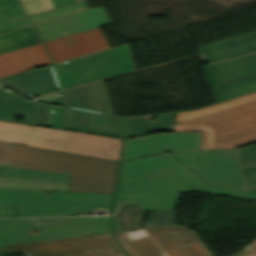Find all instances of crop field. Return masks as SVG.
<instances>
[{"label": "crop field", "instance_id": "obj_7", "mask_svg": "<svg viewBox=\"0 0 256 256\" xmlns=\"http://www.w3.org/2000/svg\"><path fill=\"white\" fill-rule=\"evenodd\" d=\"M64 61L50 65L59 90L134 70L127 45Z\"/></svg>", "mask_w": 256, "mask_h": 256}, {"label": "crop field", "instance_id": "obj_19", "mask_svg": "<svg viewBox=\"0 0 256 256\" xmlns=\"http://www.w3.org/2000/svg\"><path fill=\"white\" fill-rule=\"evenodd\" d=\"M206 63L256 51V32L198 47ZM218 53V54H215ZM219 56H221L219 58Z\"/></svg>", "mask_w": 256, "mask_h": 256}, {"label": "crop field", "instance_id": "obj_25", "mask_svg": "<svg viewBox=\"0 0 256 256\" xmlns=\"http://www.w3.org/2000/svg\"><path fill=\"white\" fill-rule=\"evenodd\" d=\"M256 100V93L240 96L197 110L176 112L175 124Z\"/></svg>", "mask_w": 256, "mask_h": 256}, {"label": "crop field", "instance_id": "obj_35", "mask_svg": "<svg viewBox=\"0 0 256 256\" xmlns=\"http://www.w3.org/2000/svg\"><path fill=\"white\" fill-rule=\"evenodd\" d=\"M76 1H79V0H52L55 7L65 5V4H69V3H73V2H76Z\"/></svg>", "mask_w": 256, "mask_h": 256}, {"label": "crop field", "instance_id": "obj_9", "mask_svg": "<svg viewBox=\"0 0 256 256\" xmlns=\"http://www.w3.org/2000/svg\"><path fill=\"white\" fill-rule=\"evenodd\" d=\"M9 250L30 256H124L109 233L0 246Z\"/></svg>", "mask_w": 256, "mask_h": 256}, {"label": "crop field", "instance_id": "obj_32", "mask_svg": "<svg viewBox=\"0 0 256 256\" xmlns=\"http://www.w3.org/2000/svg\"><path fill=\"white\" fill-rule=\"evenodd\" d=\"M16 216L14 208H0V217Z\"/></svg>", "mask_w": 256, "mask_h": 256}, {"label": "crop field", "instance_id": "obj_2", "mask_svg": "<svg viewBox=\"0 0 256 256\" xmlns=\"http://www.w3.org/2000/svg\"><path fill=\"white\" fill-rule=\"evenodd\" d=\"M118 162L0 142V165L70 173L68 191L113 193Z\"/></svg>", "mask_w": 256, "mask_h": 256}, {"label": "crop field", "instance_id": "obj_3", "mask_svg": "<svg viewBox=\"0 0 256 256\" xmlns=\"http://www.w3.org/2000/svg\"><path fill=\"white\" fill-rule=\"evenodd\" d=\"M0 141L117 161L121 139L0 121Z\"/></svg>", "mask_w": 256, "mask_h": 256}, {"label": "crop field", "instance_id": "obj_34", "mask_svg": "<svg viewBox=\"0 0 256 256\" xmlns=\"http://www.w3.org/2000/svg\"><path fill=\"white\" fill-rule=\"evenodd\" d=\"M127 232L131 236V238L147 235V233L144 231V229L130 230V231H127Z\"/></svg>", "mask_w": 256, "mask_h": 256}, {"label": "crop field", "instance_id": "obj_28", "mask_svg": "<svg viewBox=\"0 0 256 256\" xmlns=\"http://www.w3.org/2000/svg\"><path fill=\"white\" fill-rule=\"evenodd\" d=\"M177 211H160L148 213L144 228L175 225Z\"/></svg>", "mask_w": 256, "mask_h": 256}, {"label": "crop field", "instance_id": "obj_38", "mask_svg": "<svg viewBox=\"0 0 256 256\" xmlns=\"http://www.w3.org/2000/svg\"><path fill=\"white\" fill-rule=\"evenodd\" d=\"M33 229V228H31ZM28 234H29V237L31 238L32 242L36 240V238L38 237L39 235V230L36 234H30L29 231H28Z\"/></svg>", "mask_w": 256, "mask_h": 256}, {"label": "crop field", "instance_id": "obj_18", "mask_svg": "<svg viewBox=\"0 0 256 256\" xmlns=\"http://www.w3.org/2000/svg\"><path fill=\"white\" fill-rule=\"evenodd\" d=\"M44 50L39 43L0 54V77L51 63Z\"/></svg>", "mask_w": 256, "mask_h": 256}, {"label": "crop field", "instance_id": "obj_13", "mask_svg": "<svg viewBox=\"0 0 256 256\" xmlns=\"http://www.w3.org/2000/svg\"><path fill=\"white\" fill-rule=\"evenodd\" d=\"M15 114L24 115V123L50 127V105L27 100L0 87V119L13 121Z\"/></svg>", "mask_w": 256, "mask_h": 256}, {"label": "crop field", "instance_id": "obj_31", "mask_svg": "<svg viewBox=\"0 0 256 256\" xmlns=\"http://www.w3.org/2000/svg\"><path fill=\"white\" fill-rule=\"evenodd\" d=\"M36 99L38 100H43V101H49V102H53L56 105H61L58 93H53L50 95H46V96H41V97H37Z\"/></svg>", "mask_w": 256, "mask_h": 256}, {"label": "crop field", "instance_id": "obj_11", "mask_svg": "<svg viewBox=\"0 0 256 256\" xmlns=\"http://www.w3.org/2000/svg\"><path fill=\"white\" fill-rule=\"evenodd\" d=\"M199 132H170L125 139L122 159L163 151L198 150Z\"/></svg>", "mask_w": 256, "mask_h": 256}, {"label": "crop field", "instance_id": "obj_22", "mask_svg": "<svg viewBox=\"0 0 256 256\" xmlns=\"http://www.w3.org/2000/svg\"><path fill=\"white\" fill-rule=\"evenodd\" d=\"M216 102L256 92V73L211 84Z\"/></svg>", "mask_w": 256, "mask_h": 256}, {"label": "crop field", "instance_id": "obj_8", "mask_svg": "<svg viewBox=\"0 0 256 256\" xmlns=\"http://www.w3.org/2000/svg\"><path fill=\"white\" fill-rule=\"evenodd\" d=\"M137 121V117L123 118L111 114L65 107V129L108 135L136 137L155 131H172L174 113L158 115L156 121ZM156 128V130H153Z\"/></svg>", "mask_w": 256, "mask_h": 256}, {"label": "crop field", "instance_id": "obj_29", "mask_svg": "<svg viewBox=\"0 0 256 256\" xmlns=\"http://www.w3.org/2000/svg\"><path fill=\"white\" fill-rule=\"evenodd\" d=\"M25 16L26 15L24 11L21 5L19 4L17 6L0 11V23L18 19Z\"/></svg>", "mask_w": 256, "mask_h": 256}, {"label": "crop field", "instance_id": "obj_16", "mask_svg": "<svg viewBox=\"0 0 256 256\" xmlns=\"http://www.w3.org/2000/svg\"><path fill=\"white\" fill-rule=\"evenodd\" d=\"M59 93L65 106L114 114L103 81Z\"/></svg>", "mask_w": 256, "mask_h": 256}, {"label": "crop field", "instance_id": "obj_20", "mask_svg": "<svg viewBox=\"0 0 256 256\" xmlns=\"http://www.w3.org/2000/svg\"><path fill=\"white\" fill-rule=\"evenodd\" d=\"M209 83L256 72V53L205 66Z\"/></svg>", "mask_w": 256, "mask_h": 256}, {"label": "crop field", "instance_id": "obj_10", "mask_svg": "<svg viewBox=\"0 0 256 256\" xmlns=\"http://www.w3.org/2000/svg\"><path fill=\"white\" fill-rule=\"evenodd\" d=\"M170 153L208 184L246 190L233 149Z\"/></svg>", "mask_w": 256, "mask_h": 256}, {"label": "crop field", "instance_id": "obj_12", "mask_svg": "<svg viewBox=\"0 0 256 256\" xmlns=\"http://www.w3.org/2000/svg\"><path fill=\"white\" fill-rule=\"evenodd\" d=\"M110 24L102 6L35 23L43 42Z\"/></svg>", "mask_w": 256, "mask_h": 256}, {"label": "crop field", "instance_id": "obj_21", "mask_svg": "<svg viewBox=\"0 0 256 256\" xmlns=\"http://www.w3.org/2000/svg\"><path fill=\"white\" fill-rule=\"evenodd\" d=\"M186 226H170L145 229L161 251L200 242L197 237L185 229Z\"/></svg>", "mask_w": 256, "mask_h": 256}, {"label": "crop field", "instance_id": "obj_1", "mask_svg": "<svg viewBox=\"0 0 256 256\" xmlns=\"http://www.w3.org/2000/svg\"><path fill=\"white\" fill-rule=\"evenodd\" d=\"M181 185L256 199V192L206 185L173 156L158 154L121 162L112 215L122 203L136 204L141 210L173 209Z\"/></svg>", "mask_w": 256, "mask_h": 256}, {"label": "crop field", "instance_id": "obj_36", "mask_svg": "<svg viewBox=\"0 0 256 256\" xmlns=\"http://www.w3.org/2000/svg\"><path fill=\"white\" fill-rule=\"evenodd\" d=\"M114 232L120 231L121 227L116 216H112Z\"/></svg>", "mask_w": 256, "mask_h": 256}, {"label": "crop field", "instance_id": "obj_17", "mask_svg": "<svg viewBox=\"0 0 256 256\" xmlns=\"http://www.w3.org/2000/svg\"><path fill=\"white\" fill-rule=\"evenodd\" d=\"M0 83L21 95H42L56 90L48 66L0 78Z\"/></svg>", "mask_w": 256, "mask_h": 256}, {"label": "crop field", "instance_id": "obj_27", "mask_svg": "<svg viewBox=\"0 0 256 256\" xmlns=\"http://www.w3.org/2000/svg\"><path fill=\"white\" fill-rule=\"evenodd\" d=\"M15 169V171H10ZM0 176L67 182L68 174L0 166Z\"/></svg>", "mask_w": 256, "mask_h": 256}, {"label": "crop field", "instance_id": "obj_4", "mask_svg": "<svg viewBox=\"0 0 256 256\" xmlns=\"http://www.w3.org/2000/svg\"><path fill=\"white\" fill-rule=\"evenodd\" d=\"M203 130L201 149L234 148L256 140V101L174 125Z\"/></svg>", "mask_w": 256, "mask_h": 256}, {"label": "crop field", "instance_id": "obj_37", "mask_svg": "<svg viewBox=\"0 0 256 256\" xmlns=\"http://www.w3.org/2000/svg\"><path fill=\"white\" fill-rule=\"evenodd\" d=\"M180 190L202 192L200 188L181 186Z\"/></svg>", "mask_w": 256, "mask_h": 256}, {"label": "crop field", "instance_id": "obj_15", "mask_svg": "<svg viewBox=\"0 0 256 256\" xmlns=\"http://www.w3.org/2000/svg\"><path fill=\"white\" fill-rule=\"evenodd\" d=\"M114 236L127 256H210L201 243L161 252L149 236L131 239L126 231Z\"/></svg>", "mask_w": 256, "mask_h": 256}, {"label": "crop field", "instance_id": "obj_39", "mask_svg": "<svg viewBox=\"0 0 256 256\" xmlns=\"http://www.w3.org/2000/svg\"><path fill=\"white\" fill-rule=\"evenodd\" d=\"M242 256H256V253H253V254H247V255H242Z\"/></svg>", "mask_w": 256, "mask_h": 256}, {"label": "crop field", "instance_id": "obj_33", "mask_svg": "<svg viewBox=\"0 0 256 256\" xmlns=\"http://www.w3.org/2000/svg\"><path fill=\"white\" fill-rule=\"evenodd\" d=\"M19 4L18 0H0V10Z\"/></svg>", "mask_w": 256, "mask_h": 256}, {"label": "crop field", "instance_id": "obj_5", "mask_svg": "<svg viewBox=\"0 0 256 256\" xmlns=\"http://www.w3.org/2000/svg\"><path fill=\"white\" fill-rule=\"evenodd\" d=\"M111 200L112 195L0 189V207H16L18 217L91 213L97 208L109 212Z\"/></svg>", "mask_w": 256, "mask_h": 256}, {"label": "crop field", "instance_id": "obj_6", "mask_svg": "<svg viewBox=\"0 0 256 256\" xmlns=\"http://www.w3.org/2000/svg\"><path fill=\"white\" fill-rule=\"evenodd\" d=\"M31 227L40 229L37 241L110 232L109 216L0 219V245L31 242Z\"/></svg>", "mask_w": 256, "mask_h": 256}, {"label": "crop field", "instance_id": "obj_24", "mask_svg": "<svg viewBox=\"0 0 256 256\" xmlns=\"http://www.w3.org/2000/svg\"><path fill=\"white\" fill-rule=\"evenodd\" d=\"M32 26L0 34V53L39 43Z\"/></svg>", "mask_w": 256, "mask_h": 256}, {"label": "crop field", "instance_id": "obj_23", "mask_svg": "<svg viewBox=\"0 0 256 256\" xmlns=\"http://www.w3.org/2000/svg\"><path fill=\"white\" fill-rule=\"evenodd\" d=\"M235 152L246 189L256 191V145Z\"/></svg>", "mask_w": 256, "mask_h": 256}, {"label": "crop field", "instance_id": "obj_14", "mask_svg": "<svg viewBox=\"0 0 256 256\" xmlns=\"http://www.w3.org/2000/svg\"><path fill=\"white\" fill-rule=\"evenodd\" d=\"M45 45L54 62L109 48L99 28L48 41Z\"/></svg>", "mask_w": 256, "mask_h": 256}, {"label": "crop field", "instance_id": "obj_26", "mask_svg": "<svg viewBox=\"0 0 256 256\" xmlns=\"http://www.w3.org/2000/svg\"><path fill=\"white\" fill-rule=\"evenodd\" d=\"M67 183L0 177L2 189H40L66 191Z\"/></svg>", "mask_w": 256, "mask_h": 256}, {"label": "crop field", "instance_id": "obj_30", "mask_svg": "<svg viewBox=\"0 0 256 256\" xmlns=\"http://www.w3.org/2000/svg\"><path fill=\"white\" fill-rule=\"evenodd\" d=\"M51 127L63 129V106L51 105Z\"/></svg>", "mask_w": 256, "mask_h": 256}]
</instances>
